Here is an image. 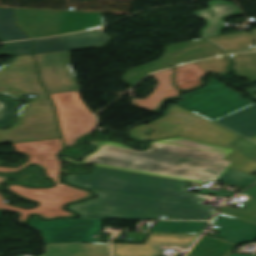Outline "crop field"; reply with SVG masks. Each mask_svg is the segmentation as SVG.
Wrapping results in <instances>:
<instances>
[{"label": "crop field", "instance_id": "obj_1", "mask_svg": "<svg viewBox=\"0 0 256 256\" xmlns=\"http://www.w3.org/2000/svg\"><path fill=\"white\" fill-rule=\"evenodd\" d=\"M232 151L181 137L165 139L135 172L200 184L216 182L231 164L222 159Z\"/></svg>", "mask_w": 256, "mask_h": 256}, {"label": "crop field", "instance_id": "obj_2", "mask_svg": "<svg viewBox=\"0 0 256 256\" xmlns=\"http://www.w3.org/2000/svg\"><path fill=\"white\" fill-rule=\"evenodd\" d=\"M89 175H69L66 180L81 187L146 197L170 202L198 205L199 208L211 210L216 207L202 205L204 198L196 193L186 192L188 182L93 167Z\"/></svg>", "mask_w": 256, "mask_h": 256}, {"label": "crop field", "instance_id": "obj_3", "mask_svg": "<svg viewBox=\"0 0 256 256\" xmlns=\"http://www.w3.org/2000/svg\"><path fill=\"white\" fill-rule=\"evenodd\" d=\"M155 129L151 136L143 132ZM133 138L142 140H155L182 136L235 150L224 160L233 162L230 168L252 175L256 171V162L244 156L238 149L228 146L238 135L178 106L172 104L165 117L148 125H141L130 131ZM248 161V162H246Z\"/></svg>", "mask_w": 256, "mask_h": 256}, {"label": "crop field", "instance_id": "obj_4", "mask_svg": "<svg viewBox=\"0 0 256 256\" xmlns=\"http://www.w3.org/2000/svg\"><path fill=\"white\" fill-rule=\"evenodd\" d=\"M97 199L71 205L85 219H137L154 220L168 216L176 203H169L121 194L95 191ZM167 219V218H166Z\"/></svg>", "mask_w": 256, "mask_h": 256}, {"label": "crop field", "instance_id": "obj_5", "mask_svg": "<svg viewBox=\"0 0 256 256\" xmlns=\"http://www.w3.org/2000/svg\"><path fill=\"white\" fill-rule=\"evenodd\" d=\"M18 25L31 37L89 30L104 25L101 14L15 9Z\"/></svg>", "mask_w": 256, "mask_h": 256}, {"label": "crop field", "instance_id": "obj_6", "mask_svg": "<svg viewBox=\"0 0 256 256\" xmlns=\"http://www.w3.org/2000/svg\"><path fill=\"white\" fill-rule=\"evenodd\" d=\"M7 188L24 198L33 199L40 204L30 210H24L9 206L3 203L4 198L0 194V209L15 210L20 212L19 222H24L31 213H38L43 218H54L57 216H72L73 213L66 212L61 207L68 202L83 199L90 196V193L77 188L56 183L52 188H26L21 185H9Z\"/></svg>", "mask_w": 256, "mask_h": 256}, {"label": "crop field", "instance_id": "obj_7", "mask_svg": "<svg viewBox=\"0 0 256 256\" xmlns=\"http://www.w3.org/2000/svg\"><path fill=\"white\" fill-rule=\"evenodd\" d=\"M58 109L59 123L65 146L92 131L96 119L93 112L79 98V92L50 94Z\"/></svg>", "mask_w": 256, "mask_h": 256}, {"label": "crop field", "instance_id": "obj_8", "mask_svg": "<svg viewBox=\"0 0 256 256\" xmlns=\"http://www.w3.org/2000/svg\"><path fill=\"white\" fill-rule=\"evenodd\" d=\"M29 225L40 231L45 243H90L99 242L101 221L61 219L43 222L34 216Z\"/></svg>", "mask_w": 256, "mask_h": 256}, {"label": "crop field", "instance_id": "obj_9", "mask_svg": "<svg viewBox=\"0 0 256 256\" xmlns=\"http://www.w3.org/2000/svg\"><path fill=\"white\" fill-rule=\"evenodd\" d=\"M159 141L152 142L147 151H134L116 142H90L98 149L86 155L82 161L77 162L66 157L64 159L75 163L134 172Z\"/></svg>", "mask_w": 256, "mask_h": 256}, {"label": "crop field", "instance_id": "obj_10", "mask_svg": "<svg viewBox=\"0 0 256 256\" xmlns=\"http://www.w3.org/2000/svg\"><path fill=\"white\" fill-rule=\"evenodd\" d=\"M241 97L243 95L227 87L217 91L203 93L191 100L178 104L195 113H204L202 116L216 121L254 104L250 100Z\"/></svg>", "mask_w": 256, "mask_h": 256}, {"label": "crop field", "instance_id": "obj_11", "mask_svg": "<svg viewBox=\"0 0 256 256\" xmlns=\"http://www.w3.org/2000/svg\"><path fill=\"white\" fill-rule=\"evenodd\" d=\"M47 92L79 89L70 68V51L34 55Z\"/></svg>", "mask_w": 256, "mask_h": 256}, {"label": "crop field", "instance_id": "obj_12", "mask_svg": "<svg viewBox=\"0 0 256 256\" xmlns=\"http://www.w3.org/2000/svg\"><path fill=\"white\" fill-rule=\"evenodd\" d=\"M15 150L29 154L30 158L22 167H0L2 172H15L27 164L36 163L45 169L46 176L59 182L60 161L54 155L62 148L60 139L42 140L34 142L16 143Z\"/></svg>", "mask_w": 256, "mask_h": 256}, {"label": "crop field", "instance_id": "obj_13", "mask_svg": "<svg viewBox=\"0 0 256 256\" xmlns=\"http://www.w3.org/2000/svg\"><path fill=\"white\" fill-rule=\"evenodd\" d=\"M199 235L150 233L144 245L112 243L114 256H157L161 246L190 247Z\"/></svg>", "mask_w": 256, "mask_h": 256}, {"label": "crop field", "instance_id": "obj_14", "mask_svg": "<svg viewBox=\"0 0 256 256\" xmlns=\"http://www.w3.org/2000/svg\"><path fill=\"white\" fill-rule=\"evenodd\" d=\"M109 41V37L99 30L49 39L34 40L35 45L33 54L101 48Z\"/></svg>", "mask_w": 256, "mask_h": 256}, {"label": "crop field", "instance_id": "obj_15", "mask_svg": "<svg viewBox=\"0 0 256 256\" xmlns=\"http://www.w3.org/2000/svg\"><path fill=\"white\" fill-rule=\"evenodd\" d=\"M208 4L211 7L210 9L195 12L198 18L203 19L208 23L207 27L201 30L202 33L200 35L202 37L219 35L225 28L221 18L242 15L239 8L231 2L214 0L208 2Z\"/></svg>", "mask_w": 256, "mask_h": 256}, {"label": "crop field", "instance_id": "obj_16", "mask_svg": "<svg viewBox=\"0 0 256 256\" xmlns=\"http://www.w3.org/2000/svg\"><path fill=\"white\" fill-rule=\"evenodd\" d=\"M173 70H166L153 74L159 83L155 87V91L144 100L132 98L133 105L140 108L156 112L159 105L165 98H177L181 91L176 89L172 84Z\"/></svg>", "mask_w": 256, "mask_h": 256}, {"label": "crop field", "instance_id": "obj_17", "mask_svg": "<svg viewBox=\"0 0 256 256\" xmlns=\"http://www.w3.org/2000/svg\"><path fill=\"white\" fill-rule=\"evenodd\" d=\"M212 223L221 226V231L216 236L236 244L239 242H249L252 236L256 234V225L220 214L215 216Z\"/></svg>", "mask_w": 256, "mask_h": 256}, {"label": "crop field", "instance_id": "obj_18", "mask_svg": "<svg viewBox=\"0 0 256 256\" xmlns=\"http://www.w3.org/2000/svg\"><path fill=\"white\" fill-rule=\"evenodd\" d=\"M42 256H110L109 244H47Z\"/></svg>", "mask_w": 256, "mask_h": 256}, {"label": "crop field", "instance_id": "obj_19", "mask_svg": "<svg viewBox=\"0 0 256 256\" xmlns=\"http://www.w3.org/2000/svg\"><path fill=\"white\" fill-rule=\"evenodd\" d=\"M217 123L250 138L256 135V104L222 118Z\"/></svg>", "mask_w": 256, "mask_h": 256}, {"label": "crop field", "instance_id": "obj_20", "mask_svg": "<svg viewBox=\"0 0 256 256\" xmlns=\"http://www.w3.org/2000/svg\"><path fill=\"white\" fill-rule=\"evenodd\" d=\"M236 245L203 235L186 256H227Z\"/></svg>", "mask_w": 256, "mask_h": 256}, {"label": "crop field", "instance_id": "obj_21", "mask_svg": "<svg viewBox=\"0 0 256 256\" xmlns=\"http://www.w3.org/2000/svg\"><path fill=\"white\" fill-rule=\"evenodd\" d=\"M205 40L219 46L227 53L254 50L252 38L248 33L207 37Z\"/></svg>", "mask_w": 256, "mask_h": 256}, {"label": "crop field", "instance_id": "obj_22", "mask_svg": "<svg viewBox=\"0 0 256 256\" xmlns=\"http://www.w3.org/2000/svg\"><path fill=\"white\" fill-rule=\"evenodd\" d=\"M175 70V84L183 91L194 89L200 86L203 84L201 76L209 74L196 63L175 68Z\"/></svg>", "mask_w": 256, "mask_h": 256}, {"label": "crop field", "instance_id": "obj_23", "mask_svg": "<svg viewBox=\"0 0 256 256\" xmlns=\"http://www.w3.org/2000/svg\"><path fill=\"white\" fill-rule=\"evenodd\" d=\"M208 222L157 221L152 232L200 234Z\"/></svg>", "mask_w": 256, "mask_h": 256}, {"label": "crop field", "instance_id": "obj_24", "mask_svg": "<svg viewBox=\"0 0 256 256\" xmlns=\"http://www.w3.org/2000/svg\"><path fill=\"white\" fill-rule=\"evenodd\" d=\"M0 38L2 41L29 39L16 26L12 9L0 8Z\"/></svg>", "mask_w": 256, "mask_h": 256}, {"label": "crop field", "instance_id": "obj_25", "mask_svg": "<svg viewBox=\"0 0 256 256\" xmlns=\"http://www.w3.org/2000/svg\"><path fill=\"white\" fill-rule=\"evenodd\" d=\"M237 76L254 81L256 80V53L230 55Z\"/></svg>", "mask_w": 256, "mask_h": 256}, {"label": "crop field", "instance_id": "obj_26", "mask_svg": "<svg viewBox=\"0 0 256 256\" xmlns=\"http://www.w3.org/2000/svg\"><path fill=\"white\" fill-rule=\"evenodd\" d=\"M218 213L256 224V199L247 198V203L240 209L222 205Z\"/></svg>", "mask_w": 256, "mask_h": 256}, {"label": "crop field", "instance_id": "obj_27", "mask_svg": "<svg viewBox=\"0 0 256 256\" xmlns=\"http://www.w3.org/2000/svg\"><path fill=\"white\" fill-rule=\"evenodd\" d=\"M213 211L196 208L194 205L180 204L174 207L168 219H199L209 220L213 216Z\"/></svg>", "mask_w": 256, "mask_h": 256}, {"label": "crop field", "instance_id": "obj_28", "mask_svg": "<svg viewBox=\"0 0 256 256\" xmlns=\"http://www.w3.org/2000/svg\"><path fill=\"white\" fill-rule=\"evenodd\" d=\"M219 181L247 187L254 181L256 177L250 176L248 174L227 168L225 172L218 179Z\"/></svg>", "mask_w": 256, "mask_h": 256}, {"label": "crop field", "instance_id": "obj_29", "mask_svg": "<svg viewBox=\"0 0 256 256\" xmlns=\"http://www.w3.org/2000/svg\"><path fill=\"white\" fill-rule=\"evenodd\" d=\"M20 102L0 96V126H6L12 121L16 105Z\"/></svg>", "mask_w": 256, "mask_h": 256}, {"label": "crop field", "instance_id": "obj_30", "mask_svg": "<svg viewBox=\"0 0 256 256\" xmlns=\"http://www.w3.org/2000/svg\"><path fill=\"white\" fill-rule=\"evenodd\" d=\"M32 41L7 43L0 50V55L2 54H12L14 56L22 54H31Z\"/></svg>", "mask_w": 256, "mask_h": 256}, {"label": "crop field", "instance_id": "obj_31", "mask_svg": "<svg viewBox=\"0 0 256 256\" xmlns=\"http://www.w3.org/2000/svg\"><path fill=\"white\" fill-rule=\"evenodd\" d=\"M0 177L14 178L25 181H30L39 184L50 185L48 181L40 177V171L36 167H29L24 172L18 175H0Z\"/></svg>", "mask_w": 256, "mask_h": 256}, {"label": "crop field", "instance_id": "obj_32", "mask_svg": "<svg viewBox=\"0 0 256 256\" xmlns=\"http://www.w3.org/2000/svg\"><path fill=\"white\" fill-rule=\"evenodd\" d=\"M229 145L238 148L243 154L256 161V144L240 137L235 139Z\"/></svg>", "mask_w": 256, "mask_h": 256}, {"label": "crop field", "instance_id": "obj_33", "mask_svg": "<svg viewBox=\"0 0 256 256\" xmlns=\"http://www.w3.org/2000/svg\"><path fill=\"white\" fill-rule=\"evenodd\" d=\"M224 87H226V86L223 83H221L217 79L212 78V79L209 80V83L205 88H202V89L197 90V91L189 92L184 96V98L182 100L172 101V102L178 103V102H181V101H185V100L191 99V98H193V97H195V96H197V95H199L203 92L217 90V89L224 88Z\"/></svg>", "mask_w": 256, "mask_h": 256}, {"label": "crop field", "instance_id": "obj_34", "mask_svg": "<svg viewBox=\"0 0 256 256\" xmlns=\"http://www.w3.org/2000/svg\"><path fill=\"white\" fill-rule=\"evenodd\" d=\"M200 193L209 194V195H218V196H222V197H226V198H229L230 196L235 194V193H231V192L224 191V190H222L221 192L214 193V192H212L210 190H206V189H202L200 191Z\"/></svg>", "mask_w": 256, "mask_h": 256}, {"label": "crop field", "instance_id": "obj_35", "mask_svg": "<svg viewBox=\"0 0 256 256\" xmlns=\"http://www.w3.org/2000/svg\"><path fill=\"white\" fill-rule=\"evenodd\" d=\"M242 194L256 197V184L254 186H252L251 188H249L248 190H246L245 192H243Z\"/></svg>", "mask_w": 256, "mask_h": 256}, {"label": "crop field", "instance_id": "obj_36", "mask_svg": "<svg viewBox=\"0 0 256 256\" xmlns=\"http://www.w3.org/2000/svg\"><path fill=\"white\" fill-rule=\"evenodd\" d=\"M3 179L5 180V181H3ZM8 179L7 178H0V183H4V182H6ZM12 180H14V179H12ZM17 181H20V180H17Z\"/></svg>", "mask_w": 256, "mask_h": 256}, {"label": "crop field", "instance_id": "obj_37", "mask_svg": "<svg viewBox=\"0 0 256 256\" xmlns=\"http://www.w3.org/2000/svg\"><path fill=\"white\" fill-rule=\"evenodd\" d=\"M228 256H250V255H236V254H229Z\"/></svg>", "mask_w": 256, "mask_h": 256}, {"label": "crop field", "instance_id": "obj_38", "mask_svg": "<svg viewBox=\"0 0 256 256\" xmlns=\"http://www.w3.org/2000/svg\"><path fill=\"white\" fill-rule=\"evenodd\" d=\"M250 139L256 142V136H255V137H252V138H250Z\"/></svg>", "mask_w": 256, "mask_h": 256}, {"label": "crop field", "instance_id": "obj_39", "mask_svg": "<svg viewBox=\"0 0 256 256\" xmlns=\"http://www.w3.org/2000/svg\"><path fill=\"white\" fill-rule=\"evenodd\" d=\"M256 239V235H254V237L251 239V241H254Z\"/></svg>", "mask_w": 256, "mask_h": 256}, {"label": "crop field", "instance_id": "obj_40", "mask_svg": "<svg viewBox=\"0 0 256 256\" xmlns=\"http://www.w3.org/2000/svg\"><path fill=\"white\" fill-rule=\"evenodd\" d=\"M0 164H4L3 162H0Z\"/></svg>", "mask_w": 256, "mask_h": 256}, {"label": "crop field", "instance_id": "obj_41", "mask_svg": "<svg viewBox=\"0 0 256 256\" xmlns=\"http://www.w3.org/2000/svg\"><path fill=\"white\" fill-rule=\"evenodd\" d=\"M2 187V185H0V188Z\"/></svg>", "mask_w": 256, "mask_h": 256}, {"label": "crop field", "instance_id": "obj_42", "mask_svg": "<svg viewBox=\"0 0 256 256\" xmlns=\"http://www.w3.org/2000/svg\"><path fill=\"white\" fill-rule=\"evenodd\" d=\"M2 213H0V216H1Z\"/></svg>", "mask_w": 256, "mask_h": 256}]
</instances>
